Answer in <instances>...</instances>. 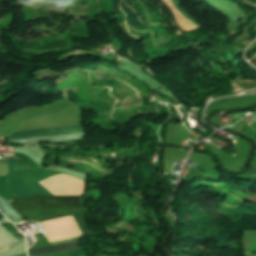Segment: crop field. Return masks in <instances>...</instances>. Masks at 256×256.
<instances>
[{
	"mask_svg": "<svg viewBox=\"0 0 256 256\" xmlns=\"http://www.w3.org/2000/svg\"><path fill=\"white\" fill-rule=\"evenodd\" d=\"M0 209L8 216V218L14 222L21 219V217L15 212L8 201L0 197Z\"/></svg>",
	"mask_w": 256,
	"mask_h": 256,
	"instance_id": "obj_7",
	"label": "crop field"
},
{
	"mask_svg": "<svg viewBox=\"0 0 256 256\" xmlns=\"http://www.w3.org/2000/svg\"><path fill=\"white\" fill-rule=\"evenodd\" d=\"M30 2L29 9L34 19L38 18H52L48 0H41L37 2Z\"/></svg>",
	"mask_w": 256,
	"mask_h": 256,
	"instance_id": "obj_5",
	"label": "crop field"
},
{
	"mask_svg": "<svg viewBox=\"0 0 256 256\" xmlns=\"http://www.w3.org/2000/svg\"><path fill=\"white\" fill-rule=\"evenodd\" d=\"M164 4L172 11L175 17V21L180 29L185 32L193 31L199 29L194 24H192L188 19H186L172 4L170 0H163Z\"/></svg>",
	"mask_w": 256,
	"mask_h": 256,
	"instance_id": "obj_4",
	"label": "crop field"
},
{
	"mask_svg": "<svg viewBox=\"0 0 256 256\" xmlns=\"http://www.w3.org/2000/svg\"><path fill=\"white\" fill-rule=\"evenodd\" d=\"M3 217L1 214H0V218Z\"/></svg>",
	"mask_w": 256,
	"mask_h": 256,
	"instance_id": "obj_8",
	"label": "crop field"
},
{
	"mask_svg": "<svg viewBox=\"0 0 256 256\" xmlns=\"http://www.w3.org/2000/svg\"><path fill=\"white\" fill-rule=\"evenodd\" d=\"M9 174L5 178L8 199L33 195H55L45 186L22 171L28 169L13 158L8 162ZM41 183H82L75 177L64 173L40 181Z\"/></svg>",
	"mask_w": 256,
	"mask_h": 256,
	"instance_id": "obj_1",
	"label": "crop field"
},
{
	"mask_svg": "<svg viewBox=\"0 0 256 256\" xmlns=\"http://www.w3.org/2000/svg\"><path fill=\"white\" fill-rule=\"evenodd\" d=\"M10 202L24 218L37 221L69 215V208L80 206L77 196L27 197Z\"/></svg>",
	"mask_w": 256,
	"mask_h": 256,
	"instance_id": "obj_2",
	"label": "crop field"
},
{
	"mask_svg": "<svg viewBox=\"0 0 256 256\" xmlns=\"http://www.w3.org/2000/svg\"><path fill=\"white\" fill-rule=\"evenodd\" d=\"M78 247H79V242L78 241H74V242H70V243H66V244H61V245H56V246H52V247L29 250L28 254H29V256H31V255L55 252V251L72 249V248H78Z\"/></svg>",
	"mask_w": 256,
	"mask_h": 256,
	"instance_id": "obj_6",
	"label": "crop field"
},
{
	"mask_svg": "<svg viewBox=\"0 0 256 256\" xmlns=\"http://www.w3.org/2000/svg\"><path fill=\"white\" fill-rule=\"evenodd\" d=\"M81 131H85L83 125H77V126L60 127V128H52V129L14 132L12 135L8 136V138H10L11 140H16V139H24V138H32V137H40V136H48V135L81 132ZM84 136H85V132H81V133L49 136V137L16 140L15 142L21 143V144H29V143H36V142H42V141L78 140V139H83Z\"/></svg>",
	"mask_w": 256,
	"mask_h": 256,
	"instance_id": "obj_3",
	"label": "crop field"
}]
</instances>
